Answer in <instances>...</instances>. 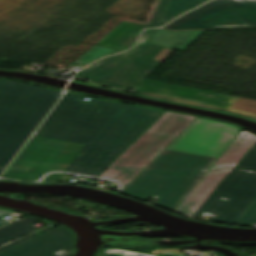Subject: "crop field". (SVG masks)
I'll list each match as a JSON object with an SVG mask.
<instances>
[{
	"mask_svg": "<svg viewBox=\"0 0 256 256\" xmlns=\"http://www.w3.org/2000/svg\"><path fill=\"white\" fill-rule=\"evenodd\" d=\"M63 173H51L41 181H59Z\"/></svg>",
	"mask_w": 256,
	"mask_h": 256,
	"instance_id": "crop-field-25",
	"label": "crop field"
},
{
	"mask_svg": "<svg viewBox=\"0 0 256 256\" xmlns=\"http://www.w3.org/2000/svg\"><path fill=\"white\" fill-rule=\"evenodd\" d=\"M162 49L163 47L146 44L120 56L106 59L77 77L124 91L128 87H135L140 95L225 111L256 120L255 115L227 108L236 97L144 79L159 64L151 59Z\"/></svg>",
	"mask_w": 256,
	"mask_h": 256,
	"instance_id": "crop-field-3",
	"label": "crop field"
},
{
	"mask_svg": "<svg viewBox=\"0 0 256 256\" xmlns=\"http://www.w3.org/2000/svg\"><path fill=\"white\" fill-rule=\"evenodd\" d=\"M204 28L247 27L232 11L202 21Z\"/></svg>",
	"mask_w": 256,
	"mask_h": 256,
	"instance_id": "crop-field-14",
	"label": "crop field"
},
{
	"mask_svg": "<svg viewBox=\"0 0 256 256\" xmlns=\"http://www.w3.org/2000/svg\"><path fill=\"white\" fill-rule=\"evenodd\" d=\"M241 131L233 125L198 118L121 192L174 210L210 165Z\"/></svg>",
	"mask_w": 256,
	"mask_h": 256,
	"instance_id": "crop-field-2",
	"label": "crop field"
},
{
	"mask_svg": "<svg viewBox=\"0 0 256 256\" xmlns=\"http://www.w3.org/2000/svg\"><path fill=\"white\" fill-rule=\"evenodd\" d=\"M39 219L40 218H36V217L22 218L12 224H9L1 228L0 229V247L37 230L35 227L31 226L30 224Z\"/></svg>",
	"mask_w": 256,
	"mask_h": 256,
	"instance_id": "crop-field-11",
	"label": "crop field"
},
{
	"mask_svg": "<svg viewBox=\"0 0 256 256\" xmlns=\"http://www.w3.org/2000/svg\"><path fill=\"white\" fill-rule=\"evenodd\" d=\"M171 51V49L164 48L153 60L161 62Z\"/></svg>",
	"mask_w": 256,
	"mask_h": 256,
	"instance_id": "crop-field-24",
	"label": "crop field"
},
{
	"mask_svg": "<svg viewBox=\"0 0 256 256\" xmlns=\"http://www.w3.org/2000/svg\"><path fill=\"white\" fill-rule=\"evenodd\" d=\"M42 236L49 244V246L53 249V251L57 249L74 251L72 247V235L67 229L63 228L62 226L50 230L42 234Z\"/></svg>",
	"mask_w": 256,
	"mask_h": 256,
	"instance_id": "crop-field-13",
	"label": "crop field"
},
{
	"mask_svg": "<svg viewBox=\"0 0 256 256\" xmlns=\"http://www.w3.org/2000/svg\"><path fill=\"white\" fill-rule=\"evenodd\" d=\"M61 92L0 79V174Z\"/></svg>",
	"mask_w": 256,
	"mask_h": 256,
	"instance_id": "crop-field-4",
	"label": "crop field"
},
{
	"mask_svg": "<svg viewBox=\"0 0 256 256\" xmlns=\"http://www.w3.org/2000/svg\"><path fill=\"white\" fill-rule=\"evenodd\" d=\"M198 10L202 13L205 19L227 12V10L224 9L222 5L216 0H213L210 3L203 5L202 7L198 8Z\"/></svg>",
	"mask_w": 256,
	"mask_h": 256,
	"instance_id": "crop-field-18",
	"label": "crop field"
},
{
	"mask_svg": "<svg viewBox=\"0 0 256 256\" xmlns=\"http://www.w3.org/2000/svg\"><path fill=\"white\" fill-rule=\"evenodd\" d=\"M158 251L165 254L174 255V256H186L184 253H180L181 250L166 249V250H155L154 252H158Z\"/></svg>",
	"mask_w": 256,
	"mask_h": 256,
	"instance_id": "crop-field-23",
	"label": "crop field"
},
{
	"mask_svg": "<svg viewBox=\"0 0 256 256\" xmlns=\"http://www.w3.org/2000/svg\"><path fill=\"white\" fill-rule=\"evenodd\" d=\"M36 235H38V234L35 233V234L30 235V236H28V237H26V238H23V239H21V240H18V241L14 242V243H12V244L6 246V247H3V248L0 249V252L3 251V250L8 249V248H10V247H12V246H14V245H17V244H19V243H21V242H23V241H26V240H28V239H30V238L36 236Z\"/></svg>",
	"mask_w": 256,
	"mask_h": 256,
	"instance_id": "crop-field-27",
	"label": "crop field"
},
{
	"mask_svg": "<svg viewBox=\"0 0 256 256\" xmlns=\"http://www.w3.org/2000/svg\"><path fill=\"white\" fill-rule=\"evenodd\" d=\"M255 198L256 142L192 217L207 211L217 214L212 221L233 223Z\"/></svg>",
	"mask_w": 256,
	"mask_h": 256,
	"instance_id": "crop-field-5",
	"label": "crop field"
},
{
	"mask_svg": "<svg viewBox=\"0 0 256 256\" xmlns=\"http://www.w3.org/2000/svg\"><path fill=\"white\" fill-rule=\"evenodd\" d=\"M204 1L206 0H170L162 19V23L169 21L188 9L196 7Z\"/></svg>",
	"mask_w": 256,
	"mask_h": 256,
	"instance_id": "crop-field-16",
	"label": "crop field"
},
{
	"mask_svg": "<svg viewBox=\"0 0 256 256\" xmlns=\"http://www.w3.org/2000/svg\"><path fill=\"white\" fill-rule=\"evenodd\" d=\"M229 108L256 114V102L237 98Z\"/></svg>",
	"mask_w": 256,
	"mask_h": 256,
	"instance_id": "crop-field-19",
	"label": "crop field"
},
{
	"mask_svg": "<svg viewBox=\"0 0 256 256\" xmlns=\"http://www.w3.org/2000/svg\"><path fill=\"white\" fill-rule=\"evenodd\" d=\"M255 141L256 136L241 132L175 211L191 216Z\"/></svg>",
	"mask_w": 256,
	"mask_h": 256,
	"instance_id": "crop-field-8",
	"label": "crop field"
},
{
	"mask_svg": "<svg viewBox=\"0 0 256 256\" xmlns=\"http://www.w3.org/2000/svg\"><path fill=\"white\" fill-rule=\"evenodd\" d=\"M144 28L147 27L124 21L104 37L98 45L119 51L127 50L135 44L138 34Z\"/></svg>",
	"mask_w": 256,
	"mask_h": 256,
	"instance_id": "crop-field-9",
	"label": "crop field"
},
{
	"mask_svg": "<svg viewBox=\"0 0 256 256\" xmlns=\"http://www.w3.org/2000/svg\"><path fill=\"white\" fill-rule=\"evenodd\" d=\"M82 147V144L33 136L3 177L35 181L51 171H66Z\"/></svg>",
	"mask_w": 256,
	"mask_h": 256,
	"instance_id": "crop-field-6",
	"label": "crop field"
},
{
	"mask_svg": "<svg viewBox=\"0 0 256 256\" xmlns=\"http://www.w3.org/2000/svg\"><path fill=\"white\" fill-rule=\"evenodd\" d=\"M233 11L248 27H256V0H217Z\"/></svg>",
	"mask_w": 256,
	"mask_h": 256,
	"instance_id": "crop-field-12",
	"label": "crop field"
},
{
	"mask_svg": "<svg viewBox=\"0 0 256 256\" xmlns=\"http://www.w3.org/2000/svg\"><path fill=\"white\" fill-rule=\"evenodd\" d=\"M168 0H160L157 7H156V10L154 12V15L149 23L148 26H151V27H159L161 24H160V19H161V16L163 14V11L165 9V6L167 4Z\"/></svg>",
	"mask_w": 256,
	"mask_h": 256,
	"instance_id": "crop-field-20",
	"label": "crop field"
},
{
	"mask_svg": "<svg viewBox=\"0 0 256 256\" xmlns=\"http://www.w3.org/2000/svg\"><path fill=\"white\" fill-rule=\"evenodd\" d=\"M65 93L36 136L85 144L65 173L96 178L162 113Z\"/></svg>",
	"mask_w": 256,
	"mask_h": 256,
	"instance_id": "crop-field-1",
	"label": "crop field"
},
{
	"mask_svg": "<svg viewBox=\"0 0 256 256\" xmlns=\"http://www.w3.org/2000/svg\"><path fill=\"white\" fill-rule=\"evenodd\" d=\"M98 256H105L102 252L98 254Z\"/></svg>",
	"mask_w": 256,
	"mask_h": 256,
	"instance_id": "crop-field-28",
	"label": "crop field"
},
{
	"mask_svg": "<svg viewBox=\"0 0 256 256\" xmlns=\"http://www.w3.org/2000/svg\"><path fill=\"white\" fill-rule=\"evenodd\" d=\"M103 253L106 256H151V255H146L142 253L122 251V250H116V249H109V250L103 251Z\"/></svg>",
	"mask_w": 256,
	"mask_h": 256,
	"instance_id": "crop-field-21",
	"label": "crop field"
},
{
	"mask_svg": "<svg viewBox=\"0 0 256 256\" xmlns=\"http://www.w3.org/2000/svg\"><path fill=\"white\" fill-rule=\"evenodd\" d=\"M204 20L203 16L196 9L193 10L179 19L173 21L168 26L164 27L165 29H200L203 28L200 21Z\"/></svg>",
	"mask_w": 256,
	"mask_h": 256,
	"instance_id": "crop-field-15",
	"label": "crop field"
},
{
	"mask_svg": "<svg viewBox=\"0 0 256 256\" xmlns=\"http://www.w3.org/2000/svg\"><path fill=\"white\" fill-rule=\"evenodd\" d=\"M12 212H9V211H5V210H1L0 209V226L2 225H5L7 223H9L10 221L9 220H5L3 219L4 217L8 216L9 214H11Z\"/></svg>",
	"mask_w": 256,
	"mask_h": 256,
	"instance_id": "crop-field-26",
	"label": "crop field"
},
{
	"mask_svg": "<svg viewBox=\"0 0 256 256\" xmlns=\"http://www.w3.org/2000/svg\"><path fill=\"white\" fill-rule=\"evenodd\" d=\"M196 118L192 115L167 111L109 169L138 175Z\"/></svg>",
	"mask_w": 256,
	"mask_h": 256,
	"instance_id": "crop-field-7",
	"label": "crop field"
},
{
	"mask_svg": "<svg viewBox=\"0 0 256 256\" xmlns=\"http://www.w3.org/2000/svg\"><path fill=\"white\" fill-rule=\"evenodd\" d=\"M53 250V249H52ZM41 235L0 253V256H53Z\"/></svg>",
	"mask_w": 256,
	"mask_h": 256,
	"instance_id": "crop-field-10",
	"label": "crop field"
},
{
	"mask_svg": "<svg viewBox=\"0 0 256 256\" xmlns=\"http://www.w3.org/2000/svg\"><path fill=\"white\" fill-rule=\"evenodd\" d=\"M234 223L248 226H252L256 223V199L247 207V209Z\"/></svg>",
	"mask_w": 256,
	"mask_h": 256,
	"instance_id": "crop-field-17",
	"label": "crop field"
},
{
	"mask_svg": "<svg viewBox=\"0 0 256 256\" xmlns=\"http://www.w3.org/2000/svg\"><path fill=\"white\" fill-rule=\"evenodd\" d=\"M154 31H155V29H148V30L143 31L142 34H141V37H140V39H139V42H138L137 46H139V45L145 43L146 40H147L148 38H150V36L152 35V33H153Z\"/></svg>",
	"mask_w": 256,
	"mask_h": 256,
	"instance_id": "crop-field-22",
	"label": "crop field"
}]
</instances>
